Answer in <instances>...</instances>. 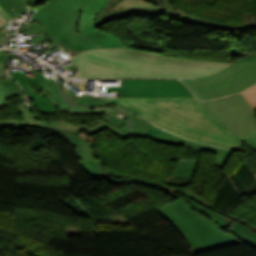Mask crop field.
Listing matches in <instances>:
<instances>
[{
  "mask_svg": "<svg viewBox=\"0 0 256 256\" xmlns=\"http://www.w3.org/2000/svg\"><path fill=\"white\" fill-rule=\"evenodd\" d=\"M25 26H26V35H31V34L45 31L43 26L36 22L26 24Z\"/></svg>",
  "mask_w": 256,
  "mask_h": 256,
  "instance_id": "crop-field-20",
  "label": "crop field"
},
{
  "mask_svg": "<svg viewBox=\"0 0 256 256\" xmlns=\"http://www.w3.org/2000/svg\"><path fill=\"white\" fill-rule=\"evenodd\" d=\"M7 68H9V67H7ZM6 70V69H5ZM4 70V71H5ZM5 74H7L6 72H3L2 74H1V76H0V78H5Z\"/></svg>",
  "mask_w": 256,
  "mask_h": 256,
  "instance_id": "crop-field-25",
  "label": "crop field"
},
{
  "mask_svg": "<svg viewBox=\"0 0 256 256\" xmlns=\"http://www.w3.org/2000/svg\"><path fill=\"white\" fill-rule=\"evenodd\" d=\"M245 141L248 145H250L254 150H256V134L252 135L251 137L243 140Z\"/></svg>",
  "mask_w": 256,
  "mask_h": 256,
  "instance_id": "crop-field-21",
  "label": "crop field"
},
{
  "mask_svg": "<svg viewBox=\"0 0 256 256\" xmlns=\"http://www.w3.org/2000/svg\"><path fill=\"white\" fill-rule=\"evenodd\" d=\"M114 181H121V182H139L144 183L150 186L157 187L161 190H164L165 193H168L174 197H183L187 203L191 206L192 209L204 214L208 218H210L214 223H216L218 226L225 224L227 221L232 222L229 226L230 233H232L234 236H236L238 239L243 241L244 243L256 248V233L252 230L245 228L243 225L232 221L231 219L227 218L226 216H223L222 213L212 207V205H209L205 203V200L199 196H196L194 194H191L189 192L173 189L170 187H167L165 185H160L158 183H154L151 181L146 180H140L136 178H129V179H112Z\"/></svg>",
  "mask_w": 256,
  "mask_h": 256,
  "instance_id": "crop-field-9",
  "label": "crop field"
},
{
  "mask_svg": "<svg viewBox=\"0 0 256 256\" xmlns=\"http://www.w3.org/2000/svg\"><path fill=\"white\" fill-rule=\"evenodd\" d=\"M198 162L179 161L171 177H193Z\"/></svg>",
  "mask_w": 256,
  "mask_h": 256,
  "instance_id": "crop-field-16",
  "label": "crop field"
},
{
  "mask_svg": "<svg viewBox=\"0 0 256 256\" xmlns=\"http://www.w3.org/2000/svg\"><path fill=\"white\" fill-rule=\"evenodd\" d=\"M50 128L57 135H61L69 141L76 149L79 161L97 159V155L92 145L78 134L88 125L71 124L64 122L51 121Z\"/></svg>",
  "mask_w": 256,
  "mask_h": 256,
  "instance_id": "crop-field-12",
  "label": "crop field"
},
{
  "mask_svg": "<svg viewBox=\"0 0 256 256\" xmlns=\"http://www.w3.org/2000/svg\"><path fill=\"white\" fill-rule=\"evenodd\" d=\"M163 10L169 16V18L179 21L189 22L195 25L207 26L211 29L225 30V31H235V30H247L256 28V23H251L249 25H240V26H229L224 24L215 23L208 20L199 19L197 17L190 16L181 10L175 8L171 5L170 0H164L162 5Z\"/></svg>",
  "mask_w": 256,
  "mask_h": 256,
  "instance_id": "crop-field-14",
  "label": "crop field"
},
{
  "mask_svg": "<svg viewBox=\"0 0 256 256\" xmlns=\"http://www.w3.org/2000/svg\"><path fill=\"white\" fill-rule=\"evenodd\" d=\"M7 67V63L0 62V74L3 72V70Z\"/></svg>",
  "mask_w": 256,
  "mask_h": 256,
  "instance_id": "crop-field-23",
  "label": "crop field"
},
{
  "mask_svg": "<svg viewBox=\"0 0 256 256\" xmlns=\"http://www.w3.org/2000/svg\"><path fill=\"white\" fill-rule=\"evenodd\" d=\"M109 0H49L33 20L47 30V39L74 56L86 49L124 47L113 35L100 32L94 22Z\"/></svg>",
  "mask_w": 256,
  "mask_h": 256,
  "instance_id": "crop-field-3",
  "label": "crop field"
},
{
  "mask_svg": "<svg viewBox=\"0 0 256 256\" xmlns=\"http://www.w3.org/2000/svg\"><path fill=\"white\" fill-rule=\"evenodd\" d=\"M81 165L93 176L99 179H112L104 171H101V167L98 165L97 160L80 162Z\"/></svg>",
  "mask_w": 256,
  "mask_h": 256,
  "instance_id": "crop-field-18",
  "label": "crop field"
},
{
  "mask_svg": "<svg viewBox=\"0 0 256 256\" xmlns=\"http://www.w3.org/2000/svg\"><path fill=\"white\" fill-rule=\"evenodd\" d=\"M200 103L239 140L256 133L255 110L241 93Z\"/></svg>",
  "mask_w": 256,
  "mask_h": 256,
  "instance_id": "crop-field-7",
  "label": "crop field"
},
{
  "mask_svg": "<svg viewBox=\"0 0 256 256\" xmlns=\"http://www.w3.org/2000/svg\"><path fill=\"white\" fill-rule=\"evenodd\" d=\"M31 70L37 76L38 81L44 87L43 89H41L42 93L53 105H56L61 109L69 110V113L72 114H109L97 123L89 125L85 129V131L93 135L105 128H110L121 139L126 138L128 136L129 122L117 110L103 108H83L72 106L67 101H65L61 96L56 83H54L55 79H52L50 77L47 78L45 75L36 72L32 68Z\"/></svg>",
  "mask_w": 256,
  "mask_h": 256,
  "instance_id": "crop-field-8",
  "label": "crop field"
},
{
  "mask_svg": "<svg viewBox=\"0 0 256 256\" xmlns=\"http://www.w3.org/2000/svg\"><path fill=\"white\" fill-rule=\"evenodd\" d=\"M183 234L195 253L241 243L230 233L224 235L219 227L204 215L192 210L182 198L158 208Z\"/></svg>",
  "mask_w": 256,
  "mask_h": 256,
  "instance_id": "crop-field-4",
  "label": "crop field"
},
{
  "mask_svg": "<svg viewBox=\"0 0 256 256\" xmlns=\"http://www.w3.org/2000/svg\"><path fill=\"white\" fill-rule=\"evenodd\" d=\"M256 110V85L242 93Z\"/></svg>",
  "mask_w": 256,
  "mask_h": 256,
  "instance_id": "crop-field-19",
  "label": "crop field"
},
{
  "mask_svg": "<svg viewBox=\"0 0 256 256\" xmlns=\"http://www.w3.org/2000/svg\"><path fill=\"white\" fill-rule=\"evenodd\" d=\"M8 104L0 91V106Z\"/></svg>",
  "mask_w": 256,
  "mask_h": 256,
  "instance_id": "crop-field-22",
  "label": "crop field"
},
{
  "mask_svg": "<svg viewBox=\"0 0 256 256\" xmlns=\"http://www.w3.org/2000/svg\"><path fill=\"white\" fill-rule=\"evenodd\" d=\"M61 88L66 98L72 103L84 104V105H96V106L111 105L101 99H95L93 97L87 96L85 93L81 98H79L78 101L73 100L70 97L72 93L66 90L64 86H62ZM120 110L132 121L133 123L132 133L142 138L147 136L161 143H166L170 145H185L187 147L196 148L204 151L216 152L213 164L221 168H223L225 162L227 161V159L232 153V151L227 149L218 148V147L205 145V144H199V143H195V142L180 138L172 133H169L167 131H164L160 128L155 127L152 123L136 115L130 114L122 109Z\"/></svg>",
  "mask_w": 256,
  "mask_h": 256,
  "instance_id": "crop-field-6",
  "label": "crop field"
},
{
  "mask_svg": "<svg viewBox=\"0 0 256 256\" xmlns=\"http://www.w3.org/2000/svg\"><path fill=\"white\" fill-rule=\"evenodd\" d=\"M5 26H7V25H5ZM5 26H3V27H5ZM2 28V27H1ZM1 30V29H0Z\"/></svg>",
  "mask_w": 256,
  "mask_h": 256,
  "instance_id": "crop-field-27",
  "label": "crop field"
},
{
  "mask_svg": "<svg viewBox=\"0 0 256 256\" xmlns=\"http://www.w3.org/2000/svg\"><path fill=\"white\" fill-rule=\"evenodd\" d=\"M114 9L122 10L115 18H120L128 14H146L158 16L163 13L160 7L149 4L144 0H122L114 7Z\"/></svg>",
  "mask_w": 256,
  "mask_h": 256,
  "instance_id": "crop-field-15",
  "label": "crop field"
},
{
  "mask_svg": "<svg viewBox=\"0 0 256 256\" xmlns=\"http://www.w3.org/2000/svg\"><path fill=\"white\" fill-rule=\"evenodd\" d=\"M7 24L1 17H0V26Z\"/></svg>",
  "mask_w": 256,
  "mask_h": 256,
  "instance_id": "crop-field-24",
  "label": "crop field"
},
{
  "mask_svg": "<svg viewBox=\"0 0 256 256\" xmlns=\"http://www.w3.org/2000/svg\"><path fill=\"white\" fill-rule=\"evenodd\" d=\"M0 5L11 17H13L16 12H27L24 0H0Z\"/></svg>",
  "mask_w": 256,
  "mask_h": 256,
  "instance_id": "crop-field-17",
  "label": "crop field"
},
{
  "mask_svg": "<svg viewBox=\"0 0 256 256\" xmlns=\"http://www.w3.org/2000/svg\"><path fill=\"white\" fill-rule=\"evenodd\" d=\"M80 71L79 78H189L218 72L230 63L183 60L133 49L86 51L69 59Z\"/></svg>",
  "mask_w": 256,
  "mask_h": 256,
  "instance_id": "crop-field-1",
  "label": "crop field"
},
{
  "mask_svg": "<svg viewBox=\"0 0 256 256\" xmlns=\"http://www.w3.org/2000/svg\"><path fill=\"white\" fill-rule=\"evenodd\" d=\"M0 9H1V6H0Z\"/></svg>",
  "mask_w": 256,
  "mask_h": 256,
  "instance_id": "crop-field-28",
  "label": "crop field"
},
{
  "mask_svg": "<svg viewBox=\"0 0 256 256\" xmlns=\"http://www.w3.org/2000/svg\"><path fill=\"white\" fill-rule=\"evenodd\" d=\"M0 89L4 94L6 100L13 96H20L23 92L20 90L16 82L11 80L8 75L6 79H0ZM21 104L18 107L19 114L24 118L23 121L15 120H4L0 121V129H17V130H27L28 127L42 129L47 125L36 119L33 116V108L24 109L22 99L20 97Z\"/></svg>",
  "mask_w": 256,
  "mask_h": 256,
  "instance_id": "crop-field-11",
  "label": "crop field"
},
{
  "mask_svg": "<svg viewBox=\"0 0 256 256\" xmlns=\"http://www.w3.org/2000/svg\"><path fill=\"white\" fill-rule=\"evenodd\" d=\"M124 86L107 90L123 97H194L179 80L123 79Z\"/></svg>",
  "mask_w": 256,
  "mask_h": 256,
  "instance_id": "crop-field-10",
  "label": "crop field"
},
{
  "mask_svg": "<svg viewBox=\"0 0 256 256\" xmlns=\"http://www.w3.org/2000/svg\"><path fill=\"white\" fill-rule=\"evenodd\" d=\"M11 76L21 84L25 93L33 99L40 112L46 114L54 112H67L65 110H61L53 106L45 98V96L39 90L40 88H42V86L37 81L36 77L32 78L31 76L25 75L23 72H15Z\"/></svg>",
  "mask_w": 256,
  "mask_h": 256,
  "instance_id": "crop-field-13",
  "label": "crop field"
},
{
  "mask_svg": "<svg viewBox=\"0 0 256 256\" xmlns=\"http://www.w3.org/2000/svg\"><path fill=\"white\" fill-rule=\"evenodd\" d=\"M182 137L240 149L239 140L195 98H103Z\"/></svg>",
  "mask_w": 256,
  "mask_h": 256,
  "instance_id": "crop-field-2",
  "label": "crop field"
},
{
  "mask_svg": "<svg viewBox=\"0 0 256 256\" xmlns=\"http://www.w3.org/2000/svg\"><path fill=\"white\" fill-rule=\"evenodd\" d=\"M250 57H254V56H246V57L243 58L242 60H245V59L250 58ZM242 60H239V61H242ZM239 61H237V62H239Z\"/></svg>",
  "mask_w": 256,
  "mask_h": 256,
  "instance_id": "crop-field-26",
  "label": "crop field"
},
{
  "mask_svg": "<svg viewBox=\"0 0 256 256\" xmlns=\"http://www.w3.org/2000/svg\"><path fill=\"white\" fill-rule=\"evenodd\" d=\"M182 81L200 100L242 92L256 83V57L209 77Z\"/></svg>",
  "mask_w": 256,
  "mask_h": 256,
  "instance_id": "crop-field-5",
  "label": "crop field"
}]
</instances>
